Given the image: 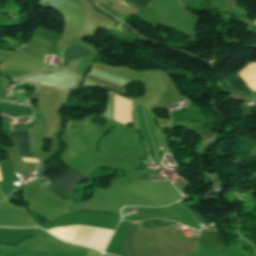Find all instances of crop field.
Returning <instances> with one entry per match:
<instances>
[{
	"label": "crop field",
	"instance_id": "obj_1",
	"mask_svg": "<svg viewBox=\"0 0 256 256\" xmlns=\"http://www.w3.org/2000/svg\"><path fill=\"white\" fill-rule=\"evenodd\" d=\"M9 140L13 142L19 156L34 157L31 153L29 131H11ZM21 159L27 162H38L36 158L21 157Z\"/></svg>",
	"mask_w": 256,
	"mask_h": 256
},
{
	"label": "crop field",
	"instance_id": "obj_2",
	"mask_svg": "<svg viewBox=\"0 0 256 256\" xmlns=\"http://www.w3.org/2000/svg\"><path fill=\"white\" fill-rule=\"evenodd\" d=\"M84 178L86 177L70 168L65 174L52 182L69 196L71 190Z\"/></svg>",
	"mask_w": 256,
	"mask_h": 256
},
{
	"label": "crop field",
	"instance_id": "obj_3",
	"mask_svg": "<svg viewBox=\"0 0 256 256\" xmlns=\"http://www.w3.org/2000/svg\"><path fill=\"white\" fill-rule=\"evenodd\" d=\"M198 243L226 255L223 239L216 233L201 232Z\"/></svg>",
	"mask_w": 256,
	"mask_h": 256
},
{
	"label": "crop field",
	"instance_id": "obj_4",
	"mask_svg": "<svg viewBox=\"0 0 256 256\" xmlns=\"http://www.w3.org/2000/svg\"><path fill=\"white\" fill-rule=\"evenodd\" d=\"M113 118L123 123L133 122L131 103L116 97Z\"/></svg>",
	"mask_w": 256,
	"mask_h": 256
},
{
	"label": "crop field",
	"instance_id": "obj_5",
	"mask_svg": "<svg viewBox=\"0 0 256 256\" xmlns=\"http://www.w3.org/2000/svg\"><path fill=\"white\" fill-rule=\"evenodd\" d=\"M142 222H130L124 241V253L127 256H137L134 248V235Z\"/></svg>",
	"mask_w": 256,
	"mask_h": 256
},
{
	"label": "crop field",
	"instance_id": "obj_6",
	"mask_svg": "<svg viewBox=\"0 0 256 256\" xmlns=\"http://www.w3.org/2000/svg\"><path fill=\"white\" fill-rule=\"evenodd\" d=\"M138 130L142 134L148 149L158 148L157 145L162 144L157 128H140ZM159 148H163V145H160Z\"/></svg>",
	"mask_w": 256,
	"mask_h": 256
},
{
	"label": "crop field",
	"instance_id": "obj_7",
	"mask_svg": "<svg viewBox=\"0 0 256 256\" xmlns=\"http://www.w3.org/2000/svg\"><path fill=\"white\" fill-rule=\"evenodd\" d=\"M92 55H95V54L86 50L85 48L81 47L78 44L68 48L63 53V56L66 57L69 60H74V59L79 58V57H87V56H92Z\"/></svg>",
	"mask_w": 256,
	"mask_h": 256
},
{
	"label": "crop field",
	"instance_id": "obj_8",
	"mask_svg": "<svg viewBox=\"0 0 256 256\" xmlns=\"http://www.w3.org/2000/svg\"><path fill=\"white\" fill-rule=\"evenodd\" d=\"M136 7H148L151 4V0H126Z\"/></svg>",
	"mask_w": 256,
	"mask_h": 256
},
{
	"label": "crop field",
	"instance_id": "obj_9",
	"mask_svg": "<svg viewBox=\"0 0 256 256\" xmlns=\"http://www.w3.org/2000/svg\"><path fill=\"white\" fill-rule=\"evenodd\" d=\"M88 79H91V80H94L96 82H99V83H102V84H105V85H108V86H111V87H114L116 89H119V90H122L123 91V87H120L118 85H115V84H112V83H109V82H106L104 80H101V79H98V78H95L93 76H88Z\"/></svg>",
	"mask_w": 256,
	"mask_h": 256
},
{
	"label": "crop field",
	"instance_id": "obj_10",
	"mask_svg": "<svg viewBox=\"0 0 256 256\" xmlns=\"http://www.w3.org/2000/svg\"><path fill=\"white\" fill-rule=\"evenodd\" d=\"M122 3V2H121ZM124 4V3H123ZM126 5V4H125ZM128 6V5H127Z\"/></svg>",
	"mask_w": 256,
	"mask_h": 256
},
{
	"label": "crop field",
	"instance_id": "obj_11",
	"mask_svg": "<svg viewBox=\"0 0 256 256\" xmlns=\"http://www.w3.org/2000/svg\"><path fill=\"white\" fill-rule=\"evenodd\" d=\"M70 63V62H69Z\"/></svg>",
	"mask_w": 256,
	"mask_h": 256
}]
</instances>
